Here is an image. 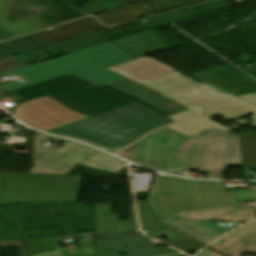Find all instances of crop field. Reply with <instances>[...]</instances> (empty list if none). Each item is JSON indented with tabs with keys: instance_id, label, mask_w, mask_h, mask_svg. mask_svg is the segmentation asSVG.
Returning <instances> with one entry per match:
<instances>
[{
	"instance_id": "crop-field-19",
	"label": "crop field",
	"mask_w": 256,
	"mask_h": 256,
	"mask_svg": "<svg viewBox=\"0 0 256 256\" xmlns=\"http://www.w3.org/2000/svg\"><path fill=\"white\" fill-rule=\"evenodd\" d=\"M11 3V0H0V12H4L0 23V41L45 28L34 18L6 22Z\"/></svg>"
},
{
	"instance_id": "crop-field-31",
	"label": "crop field",
	"mask_w": 256,
	"mask_h": 256,
	"mask_svg": "<svg viewBox=\"0 0 256 256\" xmlns=\"http://www.w3.org/2000/svg\"><path fill=\"white\" fill-rule=\"evenodd\" d=\"M22 66H26L24 63L11 56L6 59L0 60V73L6 72L12 69H16Z\"/></svg>"
},
{
	"instance_id": "crop-field-16",
	"label": "crop field",
	"mask_w": 256,
	"mask_h": 256,
	"mask_svg": "<svg viewBox=\"0 0 256 256\" xmlns=\"http://www.w3.org/2000/svg\"><path fill=\"white\" fill-rule=\"evenodd\" d=\"M164 225L196 240L202 245H207L229 230L210 221L196 220H159Z\"/></svg>"
},
{
	"instance_id": "crop-field-34",
	"label": "crop field",
	"mask_w": 256,
	"mask_h": 256,
	"mask_svg": "<svg viewBox=\"0 0 256 256\" xmlns=\"http://www.w3.org/2000/svg\"><path fill=\"white\" fill-rule=\"evenodd\" d=\"M197 256H220V255H218V254H216V253L206 249L203 252H201L200 254H198Z\"/></svg>"
},
{
	"instance_id": "crop-field-10",
	"label": "crop field",
	"mask_w": 256,
	"mask_h": 256,
	"mask_svg": "<svg viewBox=\"0 0 256 256\" xmlns=\"http://www.w3.org/2000/svg\"><path fill=\"white\" fill-rule=\"evenodd\" d=\"M193 78L240 98L256 93V81L232 65L195 74Z\"/></svg>"
},
{
	"instance_id": "crop-field-2",
	"label": "crop field",
	"mask_w": 256,
	"mask_h": 256,
	"mask_svg": "<svg viewBox=\"0 0 256 256\" xmlns=\"http://www.w3.org/2000/svg\"><path fill=\"white\" fill-rule=\"evenodd\" d=\"M165 49L168 47L148 31L0 74L14 73L27 81L0 86L10 91L72 73L104 87L123 78L105 68Z\"/></svg>"
},
{
	"instance_id": "crop-field-25",
	"label": "crop field",
	"mask_w": 256,
	"mask_h": 256,
	"mask_svg": "<svg viewBox=\"0 0 256 256\" xmlns=\"http://www.w3.org/2000/svg\"><path fill=\"white\" fill-rule=\"evenodd\" d=\"M104 42H107V40H105L103 37H101L94 31L88 34L81 35L79 37L55 43V45H57L62 50L70 53Z\"/></svg>"
},
{
	"instance_id": "crop-field-33",
	"label": "crop field",
	"mask_w": 256,
	"mask_h": 256,
	"mask_svg": "<svg viewBox=\"0 0 256 256\" xmlns=\"http://www.w3.org/2000/svg\"><path fill=\"white\" fill-rule=\"evenodd\" d=\"M195 113L187 110V111H184V112H181V113H178V114H175V115H172L168 118L174 120V121H177V120H180V119H183L185 117H188V116H191V115H194Z\"/></svg>"
},
{
	"instance_id": "crop-field-8",
	"label": "crop field",
	"mask_w": 256,
	"mask_h": 256,
	"mask_svg": "<svg viewBox=\"0 0 256 256\" xmlns=\"http://www.w3.org/2000/svg\"><path fill=\"white\" fill-rule=\"evenodd\" d=\"M14 115L31 127L43 131L88 118L48 96L20 104Z\"/></svg>"
},
{
	"instance_id": "crop-field-15",
	"label": "crop field",
	"mask_w": 256,
	"mask_h": 256,
	"mask_svg": "<svg viewBox=\"0 0 256 256\" xmlns=\"http://www.w3.org/2000/svg\"><path fill=\"white\" fill-rule=\"evenodd\" d=\"M209 247L226 256H240L243 252L256 253V222L224 236Z\"/></svg>"
},
{
	"instance_id": "crop-field-28",
	"label": "crop field",
	"mask_w": 256,
	"mask_h": 256,
	"mask_svg": "<svg viewBox=\"0 0 256 256\" xmlns=\"http://www.w3.org/2000/svg\"><path fill=\"white\" fill-rule=\"evenodd\" d=\"M141 0H99L78 9L85 16Z\"/></svg>"
},
{
	"instance_id": "crop-field-11",
	"label": "crop field",
	"mask_w": 256,
	"mask_h": 256,
	"mask_svg": "<svg viewBox=\"0 0 256 256\" xmlns=\"http://www.w3.org/2000/svg\"><path fill=\"white\" fill-rule=\"evenodd\" d=\"M236 203L243 200L256 199V187L249 190L233 191ZM255 209L238 210L236 204L213 207L204 210L175 212L178 219H197L210 221L248 222L255 213Z\"/></svg>"
},
{
	"instance_id": "crop-field-3",
	"label": "crop field",
	"mask_w": 256,
	"mask_h": 256,
	"mask_svg": "<svg viewBox=\"0 0 256 256\" xmlns=\"http://www.w3.org/2000/svg\"><path fill=\"white\" fill-rule=\"evenodd\" d=\"M170 123L173 121L157 112L131 103L49 133L85 141L114 153L146 132Z\"/></svg>"
},
{
	"instance_id": "crop-field-37",
	"label": "crop field",
	"mask_w": 256,
	"mask_h": 256,
	"mask_svg": "<svg viewBox=\"0 0 256 256\" xmlns=\"http://www.w3.org/2000/svg\"><path fill=\"white\" fill-rule=\"evenodd\" d=\"M253 127H256V112L254 113L253 116Z\"/></svg>"
},
{
	"instance_id": "crop-field-21",
	"label": "crop field",
	"mask_w": 256,
	"mask_h": 256,
	"mask_svg": "<svg viewBox=\"0 0 256 256\" xmlns=\"http://www.w3.org/2000/svg\"><path fill=\"white\" fill-rule=\"evenodd\" d=\"M91 85L93 84L82 80L72 74H69L32 86H34L39 91L47 94L48 96L54 98Z\"/></svg>"
},
{
	"instance_id": "crop-field-29",
	"label": "crop field",
	"mask_w": 256,
	"mask_h": 256,
	"mask_svg": "<svg viewBox=\"0 0 256 256\" xmlns=\"http://www.w3.org/2000/svg\"><path fill=\"white\" fill-rule=\"evenodd\" d=\"M137 204L143 230L164 226L163 224L158 222L147 201L137 202Z\"/></svg>"
},
{
	"instance_id": "crop-field-36",
	"label": "crop field",
	"mask_w": 256,
	"mask_h": 256,
	"mask_svg": "<svg viewBox=\"0 0 256 256\" xmlns=\"http://www.w3.org/2000/svg\"><path fill=\"white\" fill-rule=\"evenodd\" d=\"M123 253L127 254L128 256H136L130 250L128 251L125 250Z\"/></svg>"
},
{
	"instance_id": "crop-field-6",
	"label": "crop field",
	"mask_w": 256,
	"mask_h": 256,
	"mask_svg": "<svg viewBox=\"0 0 256 256\" xmlns=\"http://www.w3.org/2000/svg\"><path fill=\"white\" fill-rule=\"evenodd\" d=\"M81 177L0 174V204L76 202Z\"/></svg>"
},
{
	"instance_id": "crop-field-40",
	"label": "crop field",
	"mask_w": 256,
	"mask_h": 256,
	"mask_svg": "<svg viewBox=\"0 0 256 256\" xmlns=\"http://www.w3.org/2000/svg\"><path fill=\"white\" fill-rule=\"evenodd\" d=\"M244 256H248V255H244Z\"/></svg>"
},
{
	"instance_id": "crop-field-38",
	"label": "crop field",
	"mask_w": 256,
	"mask_h": 256,
	"mask_svg": "<svg viewBox=\"0 0 256 256\" xmlns=\"http://www.w3.org/2000/svg\"><path fill=\"white\" fill-rule=\"evenodd\" d=\"M5 93H8V92L0 87V95L5 94Z\"/></svg>"
},
{
	"instance_id": "crop-field-13",
	"label": "crop field",
	"mask_w": 256,
	"mask_h": 256,
	"mask_svg": "<svg viewBox=\"0 0 256 256\" xmlns=\"http://www.w3.org/2000/svg\"><path fill=\"white\" fill-rule=\"evenodd\" d=\"M132 81L145 85L175 69L148 56L107 68Z\"/></svg>"
},
{
	"instance_id": "crop-field-18",
	"label": "crop field",
	"mask_w": 256,
	"mask_h": 256,
	"mask_svg": "<svg viewBox=\"0 0 256 256\" xmlns=\"http://www.w3.org/2000/svg\"><path fill=\"white\" fill-rule=\"evenodd\" d=\"M205 84L193 81L173 71L145 86H149L169 97L175 98Z\"/></svg>"
},
{
	"instance_id": "crop-field-12",
	"label": "crop field",
	"mask_w": 256,
	"mask_h": 256,
	"mask_svg": "<svg viewBox=\"0 0 256 256\" xmlns=\"http://www.w3.org/2000/svg\"><path fill=\"white\" fill-rule=\"evenodd\" d=\"M129 83L130 86L123 83ZM122 85L126 88H129L133 90L132 92L119 86ZM117 92H120L122 94H125L131 98H134L152 108H155L158 112L170 116L172 114L187 110L185 107L177 103L176 101H173L171 99H168L157 92L146 88L144 86H141L135 82H132L126 78H123L109 86H107Z\"/></svg>"
},
{
	"instance_id": "crop-field-14",
	"label": "crop field",
	"mask_w": 256,
	"mask_h": 256,
	"mask_svg": "<svg viewBox=\"0 0 256 256\" xmlns=\"http://www.w3.org/2000/svg\"><path fill=\"white\" fill-rule=\"evenodd\" d=\"M126 245L137 256H162L179 253L171 248L157 247L147 243L139 233L95 240V251Z\"/></svg>"
},
{
	"instance_id": "crop-field-7",
	"label": "crop field",
	"mask_w": 256,
	"mask_h": 256,
	"mask_svg": "<svg viewBox=\"0 0 256 256\" xmlns=\"http://www.w3.org/2000/svg\"><path fill=\"white\" fill-rule=\"evenodd\" d=\"M175 99L189 109L208 117L220 114L226 119H236L256 111V94L240 99L210 85Z\"/></svg>"
},
{
	"instance_id": "crop-field-5",
	"label": "crop field",
	"mask_w": 256,
	"mask_h": 256,
	"mask_svg": "<svg viewBox=\"0 0 256 256\" xmlns=\"http://www.w3.org/2000/svg\"><path fill=\"white\" fill-rule=\"evenodd\" d=\"M47 139L57 143L64 140L35 132L32 156L34 167L29 171L30 174H67L77 164L111 173L126 167L118 159L68 140L57 150L40 145Z\"/></svg>"
},
{
	"instance_id": "crop-field-1",
	"label": "crop field",
	"mask_w": 256,
	"mask_h": 256,
	"mask_svg": "<svg viewBox=\"0 0 256 256\" xmlns=\"http://www.w3.org/2000/svg\"><path fill=\"white\" fill-rule=\"evenodd\" d=\"M229 132L213 129L188 137L165 127L132 145L126 158L162 172L207 170L206 179H222L227 166H241L238 136Z\"/></svg>"
},
{
	"instance_id": "crop-field-9",
	"label": "crop field",
	"mask_w": 256,
	"mask_h": 256,
	"mask_svg": "<svg viewBox=\"0 0 256 256\" xmlns=\"http://www.w3.org/2000/svg\"><path fill=\"white\" fill-rule=\"evenodd\" d=\"M54 99L87 116H95L131 103L130 100L96 85Z\"/></svg>"
},
{
	"instance_id": "crop-field-32",
	"label": "crop field",
	"mask_w": 256,
	"mask_h": 256,
	"mask_svg": "<svg viewBox=\"0 0 256 256\" xmlns=\"http://www.w3.org/2000/svg\"><path fill=\"white\" fill-rule=\"evenodd\" d=\"M124 249L125 247L122 246L118 248L99 251V252H96V256H120Z\"/></svg>"
},
{
	"instance_id": "crop-field-4",
	"label": "crop field",
	"mask_w": 256,
	"mask_h": 256,
	"mask_svg": "<svg viewBox=\"0 0 256 256\" xmlns=\"http://www.w3.org/2000/svg\"><path fill=\"white\" fill-rule=\"evenodd\" d=\"M158 219H176L174 211L235 203L223 182L190 181L157 174L147 199Z\"/></svg>"
},
{
	"instance_id": "crop-field-24",
	"label": "crop field",
	"mask_w": 256,
	"mask_h": 256,
	"mask_svg": "<svg viewBox=\"0 0 256 256\" xmlns=\"http://www.w3.org/2000/svg\"><path fill=\"white\" fill-rule=\"evenodd\" d=\"M168 127L172 128L174 130H177L181 133H184L188 136L196 135L198 133H201L203 131L213 129V128L223 129V130L237 129L235 127L229 129V128L222 126L214 121L208 120L202 116H197V117H193V118H190L187 120H183L177 124H174V125H171Z\"/></svg>"
},
{
	"instance_id": "crop-field-26",
	"label": "crop field",
	"mask_w": 256,
	"mask_h": 256,
	"mask_svg": "<svg viewBox=\"0 0 256 256\" xmlns=\"http://www.w3.org/2000/svg\"><path fill=\"white\" fill-rule=\"evenodd\" d=\"M240 149L242 155V167L256 170V134L242 132L239 135Z\"/></svg>"
},
{
	"instance_id": "crop-field-20",
	"label": "crop field",
	"mask_w": 256,
	"mask_h": 256,
	"mask_svg": "<svg viewBox=\"0 0 256 256\" xmlns=\"http://www.w3.org/2000/svg\"><path fill=\"white\" fill-rule=\"evenodd\" d=\"M59 28L49 29L39 32L51 43L78 36L87 32H91L100 28H104L99 22L92 17L80 19L58 26Z\"/></svg>"
},
{
	"instance_id": "crop-field-17",
	"label": "crop field",
	"mask_w": 256,
	"mask_h": 256,
	"mask_svg": "<svg viewBox=\"0 0 256 256\" xmlns=\"http://www.w3.org/2000/svg\"><path fill=\"white\" fill-rule=\"evenodd\" d=\"M132 220L118 221V214L110 213V204L95 205V238L138 230L134 207H129Z\"/></svg>"
},
{
	"instance_id": "crop-field-23",
	"label": "crop field",
	"mask_w": 256,
	"mask_h": 256,
	"mask_svg": "<svg viewBox=\"0 0 256 256\" xmlns=\"http://www.w3.org/2000/svg\"><path fill=\"white\" fill-rule=\"evenodd\" d=\"M51 44L38 33L0 43V58Z\"/></svg>"
},
{
	"instance_id": "crop-field-35",
	"label": "crop field",
	"mask_w": 256,
	"mask_h": 256,
	"mask_svg": "<svg viewBox=\"0 0 256 256\" xmlns=\"http://www.w3.org/2000/svg\"><path fill=\"white\" fill-rule=\"evenodd\" d=\"M244 70H246L247 72L251 73V72H255L256 71V64L254 65H250V66H246V67H242Z\"/></svg>"
},
{
	"instance_id": "crop-field-22",
	"label": "crop field",
	"mask_w": 256,
	"mask_h": 256,
	"mask_svg": "<svg viewBox=\"0 0 256 256\" xmlns=\"http://www.w3.org/2000/svg\"><path fill=\"white\" fill-rule=\"evenodd\" d=\"M146 235L155 238L157 236H165L169 240L163 242L173 248L179 249L184 252H191V251H198L202 247L199 243L167 228H157V229H151L149 232L145 233Z\"/></svg>"
},
{
	"instance_id": "crop-field-39",
	"label": "crop field",
	"mask_w": 256,
	"mask_h": 256,
	"mask_svg": "<svg viewBox=\"0 0 256 256\" xmlns=\"http://www.w3.org/2000/svg\"><path fill=\"white\" fill-rule=\"evenodd\" d=\"M174 256H186L185 254H180V255H174Z\"/></svg>"
},
{
	"instance_id": "crop-field-27",
	"label": "crop field",
	"mask_w": 256,
	"mask_h": 256,
	"mask_svg": "<svg viewBox=\"0 0 256 256\" xmlns=\"http://www.w3.org/2000/svg\"><path fill=\"white\" fill-rule=\"evenodd\" d=\"M183 9L167 12L159 15H155L149 18H145L142 20H139L140 23H142L145 27L151 29L155 28L161 25H165L168 23H172L175 21H179L185 18H189L185 13H183Z\"/></svg>"
},
{
	"instance_id": "crop-field-30",
	"label": "crop field",
	"mask_w": 256,
	"mask_h": 256,
	"mask_svg": "<svg viewBox=\"0 0 256 256\" xmlns=\"http://www.w3.org/2000/svg\"><path fill=\"white\" fill-rule=\"evenodd\" d=\"M11 93L14 94L16 97H18L19 99H21L24 102L46 96L45 94L39 92L32 86L22 88L19 90H15V91H11Z\"/></svg>"
}]
</instances>
